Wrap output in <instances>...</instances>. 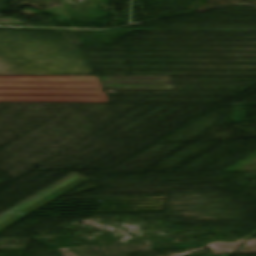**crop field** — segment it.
Masks as SVG:
<instances>
[{"label": "crop field", "mask_w": 256, "mask_h": 256, "mask_svg": "<svg viewBox=\"0 0 256 256\" xmlns=\"http://www.w3.org/2000/svg\"><path fill=\"white\" fill-rule=\"evenodd\" d=\"M0 102L110 101L97 76H0Z\"/></svg>", "instance_id": "8a807250"}, {"label": "crop field", "mask_w": 256, "mask_h": 256, "mask_svg": "<svg viewBox=\"0 0 256 256\" xmlns=\"http://www.w3.org/2000/svg\"><path fill=\"white\" fill-rule=\"evenodd\" d=\"M98 77L104 89L174 90L169 77Z\"/></svg>", "instance_id": "ac0d7876"}, {"label": "crop field", "mask_w": 256, "mask_h": 256, "mask_svg": "<svg viewBox=\"0 0 256 256\" xmlns=\"http://www.w3.org/2000/svg\"><path fill=\"white\" fill-rule=\"evenodd\" d=\"M80 175L72 174L63 180L59 181L58 183L52 185L51 187L45 189L44 191L38 193L37 195L33 196L32 198L26 200L25 202L19 204L18 206L12 208L11 210L7 211L6 213L0 215V222L9 218L10 216L14 215L15 213L21 211L22 209L26 208L27 206L33 204L34 202L40 200L41 198L47 196L48 194L52 193L53 191L59 189L60 187L66 185L67 183L73 181Z\"/></svg>", "instance_id": "34b2d1b8"}]
</instances>
